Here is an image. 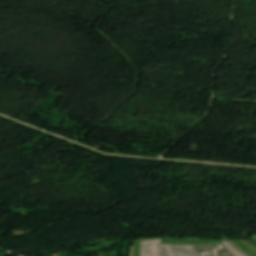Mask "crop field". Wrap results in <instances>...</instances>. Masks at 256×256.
<instances>
[{
	"label": "crop field",
	"mask_w": 256,
	"mask_h": 256,
	"mask_svg": "<svg viewBox=\"0 0 256 256\" xmlns=\"http://www.w3.org/2000/svg\"><path fill=\"white\" fill-rule=\"evenodd\" d=\"M164 256H233L222 245H161Z\"/></svg>",
	"instance_id": "1"
},
{
	"label": "crop field",
	"mask_w": 256,
	"mask_h": 256,
	"mask_svg": "<svg viewBox=\"0 0 256 256\" xmlns=\"http://www.w3.org/2000/svg\"><path fill=\"white\" fill-rule=\"evenodd\" d=\"M157 242L142 244L141 256H155ZM156 256H162L160 253V242L157 245Z\"/></svg>",
	"instance_id": "2"
},
{
	"label": "crop field",
	"mask_w": 256,
	"mask_h": 256,
	"mask_svg": "<svg viewBox=\"0 0 256 256\" xmlns=\"http://www.w3.org/2000/svg\"><path fill=\"white\" fill-rule=\"evenodd\" d=\"M254 238L256 239V236H254Z\"/></svg>",
	"instance_id": "5"
},
{
	"label": "crop field",
	"mask_w": 256,
	"mask_h": 256,
	"mask_svg": "<svg viewBox=\"0 0 256 256\" xmlns=\"http://www.w3.org/2000/svg\"><path fill=\"white\" fill-rule=\"evenodd\" d=\"M223 243H224V245L226 246V247H228L233 253H235L237 256H242L240 253H238L235 249H234V247L231 245V243H229V242H225V241H223Z\"/></svg>",
	"instance_id": "3"
},
{
	"label": "crop field",
	"mask_w": 256,
	"mask_h": 256,
	"mask_svg": "<svg viewBox=\"0 0 256 256\" xmlns=\"http://www.w3.org/2000/svg\"><path fill=\"white\" fill-rule=\"evenodd\" d=\"M239 252L242 253L244 256H248L244 251H239Z\"/></svg>",
	"instance_id": "4"
}]
</instances>
